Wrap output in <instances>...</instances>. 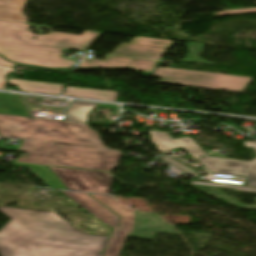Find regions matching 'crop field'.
<instances>
[{"label":"crop field","instance_id":"8a807250","mask_svg":"<svg viewBox=\"0 0 256 256\" xmlns=\"http://www.w3.org/2000/svg\"><path fill=\"white\" fill-rule=\"evenodd\" d=\"M0 211L12 219L0 230L1 256H102L109 238L76 230L55 213Z\"/></svg>","mask_w":256,"mask_h":256},{"label":"crop field","instance_id":"ac0d7876","mask_svg":"<svg viewBox=\"0 0 256 256\" xmlns=\"http://www.w3.org/2000/svg\"><path fill=\"white\" fill-rule=\"evenodd\" d=\"M37 29L32 34L29 27ZM39 27L49 30L44 35ZM101 33L85 31L81 35L53 32L48 26L0 21V54L15 62L46 67H72V60L61 56L65 48L82 50Z\"/></svg>","mask_w":256,"mask_h":256},{"label":"crop field","instance_id":"34b2d1b8","mask_svg":"<svg viewBox=\"0 0 256 256\" xmlns=\"http://www.w3.org/2000/svg\"><path fill=\"white\" fill-rule=\"evenodd\" d=\"M0 136L105 147L100 133L87 124L34 117L0 114Z\"/></svg>","mask_w":256,"mask_h":256},{"label":"crop field","instance_id":"412701ff","mask_svg":"<svg viewBox=\"0 0 256 256\" xmlns=\"http://www.w3.org/2000/svg\"><path fill=\"white\" fill-rule=\"evenodd\" d=\"M107 226L115 228L104 256H118L128 234L134 232L135 211L123 207L109 196L94 195L97 200L122 217L120 229H117L119 217L92 198L87 193L62 191Z\"/></svg>","mask_w":256,"mask_h":256},{"label":"crop field","instance_id":"f4fd0767","mask_svg":"<svg viewBox=\"0 0 256 256\" xmlns=\"http://www.w3.org/2000/svg\"><path fill=\"white\" fill-rule=\"evenodd\" d=\"M58 154L52 166L112 171L123 151L57 143Z\"/></svg>","mask_w":256,"mask_h":256},{"label":"crop field","instance_id":"dd49c442","mask_svg":"<svg viewBox=\"0 0 256 256\" xmlns=\"http://www.w3.org/2000/svg\"><path fill=\"white\" fill-rule=\"evenodd\" d=\"M152 76L162 77L160 83L192 86L205 89L242 92L252 78L232 75L185 71L157 67Z\"/></svg>","mask_w":256,"mask_h":256},{"label":"crop field","instance_id":"e52e79f7","mask_svg":"<svg viewBox=\"0 0 256 256\" xmlns=\"http://www.w3.org/2000/svg\"><path fill=\"white\" fill-rule=\"evenodd\" d=\"M67 190L108 194L112 176L109 173L48 166Z\"/></svg>","mask_w":256,"mask_h":256},{"label":"crop field","instance_id":"d8731c3e","mask_svg":"<svg viewBox=\"0 0 256 256\" xmlns=\"http://www.w3.org/2000/svg\"><path fill=\"white\" fill-rule=\"evenodd\" d=\"M172 42L163 39L136 37L129 44L121 43L112 54L160 60Z\"/></svg>","mask_w":256,"mask_h":256},{"label":"crop field","instance_id":"5a996713","mask_svg":"<svg viewBox=\"0 0 256 256\" xmlns=\"http://www.w3.org/2000/svg\"><path fill=\"white\" fill-rule=\"evenodd\" d=\"M158 61L106 55L105 60L83 58L80 67L132 68L150 73Z\"/></svg>","mask_w":256,"mask_h":256},{"label":"crop field","instance_id":"3316defc","mask_svg":"<svg viewBox=\"0 0 256 256\" xmlns=\"http://www.w3.org/2000/svg\"><path fill=\"white\" fill-rule=\"evenodd\" d=\"M245 147H253L256 152V143L245 142ZM198 160L211 172L217 174L246 176V169L256 163V159L252 162L222 159L215 157H202Z\"/></svg>","mask_w":256,"mask_h":256},{"label":"crop field","instance_id":"28ad6ade","mask_svg":"<svg viewBox=\"0 0 256 256\" xmlns=\"http://www.w3.org/2000/svg\"><path fill=\"white\" fill-rule=\"evenodd\" d=\"M19 151L28 152L27 159H17L19 162L48 165L57 154L56 143L23 140Z\"/></svg>","mask_w":256,"mask_h":256},{"label":"crop field","instance_id":"d1516ede","mask_svg":"<svg viewBox=\"0 0 256 256\" xmlns=\"http://www.w3.org/2000/svg\"><path fill=\"white\" fill-rule=\"evenodd\" d=\"M149 136L153 144L160 151L183 147L194 158L205 155L190 137L173 140L168 133L155 131H149Z\"/></svg>","mask_w":256,"mask_h":256},{"label":"crop field","instance_id":"22f410ed","mask_svg":"<svg viewBox=\"0 0 256 256\" xmlns=\"http://www.w3.org/2000/svg\"><path fill=\"white\" fill-rule=\"evenodd\" d=\"M8 84H14L21 91L60 95L64 86L61 84L43 83L35 81L8 79Z\"/></svg>","mask_w":256,"mask_h":256},{"label":"crop field","instance_id":"cbeb9de0","mask_svg":"<svg viewBox=\"0 0 256 256\" xmlns=\"http://www.w3.org/2000/svg\"><path fill=\"white\" fill-rule=\"evenodd\" d=\"M25 0H0V20L27 23L22 14Z\"/></svg>","mask_w":256,"mask_h":256},{"label":"crop field","instance_id":"5142ce71","mask_svg":"<svg viewBox=\"0 0 256 256\" xmlns=\"http://www.w3.org/2000/svg\"><path fill=\"white\" fill-rule=\"evenodd\" d=\"M94 106L118 109L116 106L72 101L63 120L87 123L86 116Z\"/></svg>","mask_w":256,"mask_h":256},{"label":"crop field","instance_id":"d9b57169","mask_svg":"<svg viewBox=\"0 0 256 256\" xmlns=\"http://www.w3.org/2000/svg\"><path fill=\"white\" fill-rule=\"evenodd\" d=\"M15 166H25L32 171L39 179H41L50 188L64 189L65 186L60 180L49 170L47 166L15 163Z\"/></svg>","mask_w":256,"mask_h":256},{"label":"crop field","instance_id":"733c2abd","mask_svg":"<svg viewBox=\"0 0 256 256\" xmlns=\"http://www.w3.org/2000/svg\"><path fill=\"white\" fill-rule=\"evenodd\" d=\"M117 92L67 87L64 96L115 101Z\"/></svg>","mask_w":256,"mask_h":256},{"label":"crop field","instance_id":"4a817a6b","mask_svg":"<svg viewBox=\"0 0 256 256\" xmlns=\"http://www.w3.org/2000/svg\"><path fill=\"white\" fill-rule=\"evenodd\" d=\"M0 113L28 116L18 96L0 94Z\"/></svg>","mask_w":256,"mask_h":256},{"label":"crop field","instance_id":"bc2a9ffb","mask_svg":"<svg viewBox=\"0 0 256 256\" xmlns=\"http://www.w3.org/2000/svg\"><path fill=\"white\" fill-rule=\"evenodd\" d=\"M205 46L202 44L186 43L188 53L185 59L180 61L211 64L199 57Z\"/></svg>","mask_w":256,"mask_h":256},{"label":"crop field","instance_id":"214f88e0","mask_svg":"<svg viewBox=\"0 0 256 256\" xmlns=\"http://www.w3.org/2000/svg\"><path fill=\"white\" fill-rule=\"evenodd\" d=\"M192 185H198V186H210V187H226V188H235L237 190H242V191H250V192H256V188H251V187H242V186H233V185H224V184H215V183H206V182H196V181H191Z\"/></svg>","mask_w":256,"mask_h":256},{"label":"crop field","instance_id":"92a150f3","mask_svg":"<svg viewBox=\"0 0 256 256\" xmlns=\"http://www.w3.org/2000/svg\"><path fill=\"white\" fill-rule=\"evenodd\" d=\"M162 159H164V160L168 161L169 163L177 166L178 168H180V169L184 170L185 172L189 173L190 175H192V176H194L196 178L198 177V175L194 172V170L186 167L185 165L179 163L178 161H176V160H174V159H172L170 157H164Z\"/></svg>","mask_w":256,"mask_h":256},{"label":"crop field","instance_id":"dafd665d","mask_svg":"<svg viewBox=\"0 0 256 256\" xmlns=\"http://www.w3.org/2000/svg\"><path fill=\"white\" fill-rule=\"evenodd\" d=\"M13 68L14 67L0 65V89L12 90V89L4 87L5 86L4 78L7 74V72H15V70H13Z\"/></svg>","mask_w":256,"mask_h":256},{"label":"crop field","instance_id":"00972430","mask_svg":"<svg viewBox=\"0 0 256 256\" xmlns=\"http://www.w3.org/2000/svg\"><path fill=\"white\" fill-rule=\"evenodd\" d=\"M246 174L248 177V186L256 187V165L248 168Z\"/></svg>","mask_w":256,"mask_h":256},{"label":"crop field","instance_id":"a9b5d70f","mask_svg":"<svg viewBox=\"0 0 256 256\" xmlns=\"http://www.w3.org/2000/svg\"><path fill=\"white\" fill-rule=\"evenodd\" d=\"M256 9H248V10H237V11H225L221 13H216L215 16H226V15H234V14H244V13H254Z\"/></svg>","mask_w":256,"mask_h":256},{"label":"crop field","instance_id":"4177f3b9","mask_svg":"<svg viewBox=\"0 0 256 256\" xmlns=\"http://www.w3.org/2000/svg\"><path fill=\"white\" fill-rule=\"evenodd\" d=\"M18 67H22V68H31V69H39V70H52V71H59V72H67L70 73V69H65V70H54V69H45V68H38V67H30V66H23V65H19Z\"/></svg>","mask_w":256,"mask_h":256},{"label":"crop field","instance_id":"730fd06b","mask_svg":"<svg viewBox=\"0 0 256 256\" xmlns=\"http://www.w3.org/2000/svg\"><path fill=\"white\" fill-rule=\"evenodd\" d=\"M0 64L2 65H9V66H15V64L9 63L6 60L0 58Z\"/></svg>","mask_w":256,"mask_h":256}]
</instances>
